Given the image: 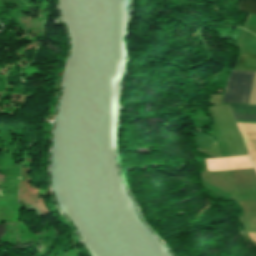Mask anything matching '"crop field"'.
<instances>
[{"instance_id": "obj_1", "label": "crop field", "mask_w": 256, "mask_h": 256, "mask_svg": "<svg viewBox=\"0 0 256 256\" xmlns=\"http://www.w3.org/2000/svg\"><path fill=\"white\" fill-rule=\"evenodd\" d=\"M254 74L232 71L221 103L248 104Z\"/></svg>"}, {"instance_id": "obj_2", "label": "crop field", "mask_w": 256, "mask_h": 256, "mask_svg": "<svg viewBox=\"0 0 256 256\" xmlns=\"http://www.w3.org/2000/svg\"><path fill=\"white\" fill-rule=\"evenodd\" d=\"M232 113H242V114H256V106H240V105H229ZM233 114L235 120H247L256 121V115H242ZM236 122H246V121H236ZM246 123H256V122H246Z\"/></svg>"}, {"instance_id": "obj_3", "label": "crop field", "mask_w": 256, "mask_h": 256, "mask_svg": "<svg viewBox=\"0 0 256 256\" xmlns=\"http://www.w3.org/2000/svg\"><path fill=\"white\" fill-rule=\"evenodd\" d=\"M235 70L256 71V55L240 53Z\"/></svg>"}, {"instance_id": "obj_4", "label": "crop field", "mask_w": 256, "mask_h": 256, "mask_svg": "<svg viewBox=\"0 0 256 256\" xmlns=\"http://www.w3.org/2000/svg\"><path fill=\"white\" fill-rule=\"evenodd\" d=\"M238 10L256 14V0H242Z\"/></svg>"}]
</instances>
